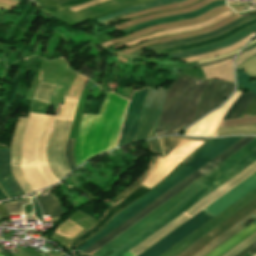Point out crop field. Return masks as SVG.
<instances>
[{"label":"crop field","instance_id":"crop-field-29","mask_svg":"<svg viewBox=\"0 0 256 256\" xmlns=\"http://www.w3.org/2000/svg\"><path fill=\"white\" fill-rule=\"evenodd\" d=\"M236 71H237L238 87L246 88L256 94V82L251 83L249 81L252 78V76L244 74L243 70L241 69L236 68Z\"/></svg>","mask_w":256,"mask_h":256},{"label":"crop field","instance_id":"crop-field-40","mask_svg":"<svg viewBox=\"0 0 256 256\" xmlns=\"http://www.w3.org/2000/svg\"><path fill=\"white\" fill-rule=\"evenodd\" d=\"M142 52L143 51H138V52H136L134 54H131V55H128L126 57H130V58L138 57V56H141Z\"/></svg>","mask_w":256,"mask_h":256},{"label":"crop field","instance_id":"crop-field-20","mask_svg":"<svg viewBox=\"0 0 256 256\" xmlns=\"http://www.w3.org/2000/svg\"><path fill=\"white\" fill-rule=\"evenodd\" d=\"M256 24V19H253L247 23H244L220 36L208 39L206 41L200 42V43H195V44H189V45H183V46H177V47H173V48H168V49H163L160 51H157L158 54L162 55V54H166V53H172V52H178V51H185V50H190L193 48H197V47H201V46H205V45H209V44H213V43H217V42H221L227 38H229L230 36L244 30L245 28L255 25Z\"/></svg>","mask_w":256,"mask_h":256},{"label":"crop field","instance_id":"crop-field-4","mask_svg":"<svg viewBox=\"0 0 256 256\" xmlns=\"http://www.w3.org/2000/svg\"><path fill=\"white\" fill-rule=\"evenodd\" d=\"M256 149V138L248 143L246 146L241 148L239 151L234 153L232 156L227 158L225 161L220 163L218 166L210 170L208 173L203 175L201 178L196 180L194 183L189 185L187 188L182 190L180 193L175 195L173 198L168 200L166 203L161 205L159 208L154 210L152 213L147 215L145 218L140 220L138 223L130 227L128 230L123 232L121 235L116 237L114 240L109 242L107 245L102 247L100 250H98L96 253H94L92 256H105V254L109 251L115 250L117 247L122 245L124 242L129 240L131 237L136 235L138 232L143 230L145 227L153 223L155 220L160 218L162 215L167 213L169 210L174 208L176 205L181 203L183 200L188 198L190 195L195 193L197 190L202 188L204 185L209 183L211 180L216 178L218 175L223 173L225 170L230 168L232 165L237 163L239 160L244 158L246 155L251 153L253 150Z\"/></svg>","mask_w":256,"mask_h":256},{"label":"crop field","instance_id":"crop-field-16","mask_svg":"<svg viewBox=\"0 0 256 256\" xmlns=\"http://www.w3.org/2000/svg\"><path fill=\"white\" fill-rule=\"evenodd\" d=\"M239 94L240 92L236 91V93L227 101L224 106L210 113L196 124L191 126L186 130L185 134L192 136H213L221 122L223 115L228 111Z\"/></svg>","mask_w":256,"mask_h":256},{"label":"crop field","instance_id":"crop-field-15","mask_svg":"<svg viewBox=\"0 0 256 256\" xmlns=\"http://www.w3.org/2000/svg\"><path fill=\"white\" fill-rule=\"evenodd\" d=\"M147 90L134 92L120 138L119 146L134 141ZM118 146V147H119Z\"/></svg>","mask_w":256,"mask_h":256},{"label":"crop field","instance_id":"crop-field-10","mask_svg":"<svg viewBox=\"0 0 256 256\" xmlns=\"http://www.w3.org/2000/svg\"><path fill=\"white\" fill-rule=\"evenodd\" d=\"M72 120L56 119L48 147V160L53 174L59 179L68 172L64 150Z\"/></svg>","mask_w":256,"mask_h":256},{"label":"crop field","instance_id":"crop-field-37","mask_svg":"<svg viewBox=\"0 0 256 256\" xmlns=\"http://www.w3.org/2000/svg\"><path fill=\"white\" fill-rule=\"evenodd\" d=\"M0 213L2 218H9V214L4 204L0 205Z\"/></svg>","mask_w":256,"mask_h":256},{"label":"crop field","instance_id":"crop-field-31","mask_svg":"<svg viewBox=\"0 0 256 256\" xmlns=\"http://www.w3.org/2000/svg\"><path fill=\"white\" fill-rule=\"evenodd\" d=\"M76 140L68 139L66 144L65 156L69 166V170L71 171L73 168L76 167L73 150Z\"/></svg>","mask_w":256,"mask_h":256},{"label":"crop field","instance_id":"crop-field-22","mask_svg":"<svg viewBox=\"0 0 256 256\" xmlns=\"http://www.w3.org/2000/svg\"><path fill=\"white\" fill-rule=\"evenodd\" d=\"M256 222V221H254ZM251 223L249 226L244 228L242 231H240L238 234H236L234 237L229 239L227 242L222 244L220 247L215 249L213 252L208 254L207 256H221L225 252H227L229 249L234 247L236 244L241 242L243 239L251 235L253 232L256 231V223Z\"/></svg>","mask_w":256,"mask_h":256},{"label":"crop field","instance_id":"crop-field-32","mask_svg":"<svg viewBox=\"0 0 256 256\" xmlns=\"http://www.w3.org/2000/svg\"><path fill=\"white\" fill-rule=\"evenodd\" d=\"M239 67L245 68L246 73L250 75H256V54L246 60L243 64H241Z\"/></svg>","mask_w":256,"mask_h":256},{"label":"crop field","instance_id":"crop-field-2","mask_svg":"<svg viewBox=\"0 0 256 256\" xmlns=\"http://www.w3.org/2000/svg\"><path fill=\"white\" fill-rule=\"evenodd\" d=\"M210 82L211 80L179 76L167 92L155 136L174 134L191 124L200 96Z\"/></svg>","mask_w":256,"mask_h":256},{"label":"crop field","instance_id":"crop-field-36","mask_svg":"<svg viewBox=\"0 0 256 256\" xmlns=\"http://www.w3.org/2000/svg\"><path fill=\"white\" fill-rule=\"evenodd\" d=\"M32 202H33V205H34V209H35V213H36V218H37L39 221L43 220V218H42V213H41V210H40V208H39L38 203L35 201L34 198H32Z\"/></svg>","mask_w":256,"mask_h":256},{"label":"crop field","instance_id":"crop-field-45","mask_svg":"<svg viewBox=\"0 0 256 256\" xmlns=\"http://www.w3.org/2000/svg\"><path fill=\"white\" fill-rule=\"evenodd\" d=\"M254 42H256V39H255V40H253V41H251V42L249 43V45H250V44H252V43H254ZM249 45H248V46H249Z\"/></svg>","mask_w":256,"mask_h":256},{"label":"crop field","instance_id":"crop-field-25","mask_svg":"<svg viewBox=\"0 0 256 256\" xmlns=\"http://www.w3.org/2000/svg\"><path fill=\"white\" fill-rule=\"evenodd\" d=\"M178 1H182V0H159V1H153V2H149V3H145V4H141V5H137V6H133V7H129L126 8L116 14L113 15H109L103 18H98L97 20H99L101 23L110 21L112 19H115L123 14L126 13H130V12H134V11H138V10H142V9H147V8H151V7H155V6H160V5H165V4H170V3H174V2H178Z\"/></svg>","mask_w":256,"mask_h":256},{"label":"crop field","instance_id":"crop-field-17","mask_svg":"<svg viewBox=\"0 0 256 256\" xmlns=\"http://www.w3.org/2000/svg\"><path fill=\"white\" fill-rule=\"evenodd\" d=\"M220 83V81L214 80L207 91L204 93L196 119L220 105L234 90L233 84L226 82H223V84L217 90L216 88L220 85ZM215 89L217 92L214 94L213 92ZM212 93L214 95L211 97Z\"/></svg>","mask_w":256,"mask_h":256},{"label":"crop field","instance_id":"crop-field-35","mask_svg":"<svg viewBox=\"0 0 256 256\" xmlns=\"http://www.w3.org/2000/svg\"><path fill=\"white\" fill-rule=\"evenodd\" d=\"M256 53V48L245 53V54H242L240 56L237 57L236 59V66L241 64L243 61H245L247 58H249L251 55L255 54Z\"/></svg>","mask_w":256,"mask_h":256},{"label":"crop field","instance_id":"crop-field-39","mask_svg":"<svg viewBox=\"0 0 256 256\" xmlns=\"http://www.w3.org/2000/svg\"><path fill=\"white\" fill-rule=\"evenodd\" d=\"M240 49L230 53V54H233V53H236L238 52ZM230 54H226V55H222V56H218V57H214V58H210V59H207V60H203V61H199L198 63H201V62H206V61H210V60H214V59H217V58H221V57H224V56H227V55H230Z\"/></svg>","mask_w":256,"mask_h":256},{"label":"crop field","instance_id":"crop-field-21","mask_svg":"<svg viewBox=\"0 0 256 256\" xmlns=\"http://www.w3.org/2000/svg\"><path fill=\"white\" fill-rule=\"evenodd\" d=\"M256 17V13L255 14H252V15H249V16H245V17H242L214 32H211V33H207V34H203L201 36H197V37H193V38H188V39H184V40H179V41H173V42H168V43H163V44H159V45H155V46H152V47H149L151 48L152 50L156 51V50H159V49H162V48H166V47H172V46H176V45H179V44H185V43H191V42H197V41H201V40H204V39H207V38H210V37H213V36H216V35H219L243 22H246V21H249L253 18Z\"/></svg>","mask_w":256,"mask_h":256},{"label":"crop field","instance_id":"crop-field-42","mask_svg":"<svg viewBox=\"0 0 256 256\" xmlns=\"http://www.w3.org/2000/svg\"><path fill=\"white\" fill-rule=\"evenodd\" d=\"M255 47H256V44H254V45H252V46H250V47L244 49V50L241 52V54L244 53V52H246V51H249V50H251V49H253V48H255Z\"/></svg>","mask_w":256,"mask_h":256},{"label":"crop field","instance_id":"crop-field-3","mask_svg":"<svg viewBox=\"0 0 256 256\" xmlns=\"http://www.w3.org/2000/svg\"><path fill=\"white\" fill-rule=\"evenodd\" d=\"M242 137H225L217 139H209L205 145L194 155V157L184 165L180 170L174 173L166 181L156 187L154 190L146 194L144 197L139 199L137 202L132 204L130 207L118 214L112 219L103 231L97 234L95 237L87 241L78 249L82 252L93 243L98 241L100 238L105 236L107 233L115 229L117 226L122 224L124 221L129 219L131 216L136 214L138 211L143 209L145 206L150 204L152 201L157 199L159 196L167 192L169 189L174 187L176 184L181 182L183 179L188 177L190 174L195 172L197 169L202 167L204 164L209 162L211 159L219 155L221 152L226 150L228 147L233 145L235 142L240 140Z\"/></svg>","mask_w":256,"mask_h":256},{"label":"crop field","instance_id":"crop-field-24","mask_svg":"<svg viewBox=\"0 0 256 256\" xmlns=\"http://www.w3.org/2000/svg\"><path fill=\"white\" fill-rule=\"evenodd\" d=\"M36 198L43 210L44 216L50 215V217L53 218L64 215L57 199L53 197L51 194Z\"/></svg>","mask_w":256,"mask_h":256},{"label":"crop field","instance_id":"crop-field-44","mask_svg":"<svg viewBox=\"0 0 256 256\" xmlns=\"http://www.w3.org/2000/svg\"><path fill=\"white\" fill-rule=\"evenodd\" d=\"M255 251H256V247L253 248L252 250H250L249 252L252 254V253H254Z\"/></svg>","mask_w":256,"mask_h":256},{"label":"crop field","instance_id":"crop-field-7","mask_svg":"<svg viewBox=\"0 0 256 256\" xmlns=\"http://www.w3.org/2000/svg\"><path fill=\"white\" fill-rule=\"evenodd\" d=\"M254 161H256V150L249 154L247 157L242 159L240 162L235 164L233 167L228 169L226 172L221 174L219 177L214 179L212 182L207 184L205 187L200 189L198 192L193 194L191 197L186 199L184 202L179 204L177 207L172 209L170 212L165 214L163 217L158 219L156 222L148 226L146 229L141 231L139 234L134 236L132 239L124 243L122 246L117 248L112 254L109 256H122L124 253H126L128 250L133 248L135 245L140 243L142 240L147 238L149 235L154 233L156 230H158L160 227L165 225L167 222L172 220L174 217L182 213L184 210L192 206L194 203L202 199L204 196L212 192L214 189L222 185L224 182L232 178L234 175L242 171L244 168L252 164Z\"/></svg>","mask_w":256,"mask_h":256},{"label":"crop field","instance_id":"crop-field-27","mask_svg":"<svg viewBox=\"0 0 256 256\" xmlns=\"http://www.w3.org/2000/svg\"><path fill=\"white\" fill-rule=\"evenodd\" d=\"M52 1L62 3V2L69 1V0H52ZM88 1H91V0H73V1L66 2V3L54 5L52 7L47 8V9L41 10L40 12L42 14L48 16L49 14H51L55 11L63 10V9H66V8H69V7L78 5V4L88 2Z\"/></svg>","mask_w":256,"mask_h":256},{"label":"crop field","instance_id":"crop-field-6","mask_svg":"<svg viewBox=\"0 0 256 256\" xmlns=\"http://www.w3.org/2000/svg\"><path fill=\"white\" fill-rule=\"evenodd\" d=\"M255 187H256V173L251 177H249L244 182H242L241 184H239L237 187L232 189L230 192L222 196L220 199L215 201L213 204L205 208L202 212L213 217L216 214H218L220 211H222L223 209L231 205L233 202H235L236 200L244 196L246 193L254 189ZM210 218L211 217L201 212L198 213L196 216H194L189 221L181 225L179 228L174 230L172 233L167 235L165 238L160 240L158 243L153 245L151 248H149L139 256H158L159 254L167 250L169 247L174 245L176 242L181 240L183 237H185L186 235L191 233L193 230L198 228L200 225L208 221Z\"/></svg>","mask_w":256,"mask_h":256},{"label":"crop field","instance_id":"crop-field-14","mask_svg":"<svg viewBox=\"0 0 256 256\" xmlns=\"http://www.w3.org/2000/svg\"><path fill=\"white\" fill-rule=\"evenodd\" d=\"M254 198H256V189L254 191H252L251 193H249L247 196H245L244 198H242L240 201H238L237 203H235L234 205H232L230 208H228L227 210H225L223 213H221L220 215H218L216 218H214L213 220H211L209 223H207L206 225H204L202 228H200L199 230H197L195 233H193L192 235H190L189 237H187L185 240H183L182 242H180L178 245H176L175 247H173L171 250H169L168 252H166L164 255L162 256H174L175 254H177L179 251H181L182 249H184L186 246H188L189 244H191L193 241H195L196 239H198L199 237H201L203 234H205L206 232H208L210 229H212L213 227H215L217 224H219L220 222H222L223 220H225L227 217H229L230 215H232L234 212H236L237 210H239L241 207H243L244 205H246L247 203H249L251 200H253Z\"/></svg>","mask_w":256,"mask_h":256},{"label":"crop field","instance_id":"crop-field-1","mask_svg":"<svg viewBox=\"0 0 256 256\" xmlns=\"http://www.w3.org/2000/svg\"><path fill=\"white\" fill-rule=\"evenodd\" d=\"M126 103L116 95L107 94L99 115H83L74 150L77 166L115 147Z\"/></svg>","mask_w":256,"mask_h":256},{"label":"crop field","instance_id":"crop-field-26","mask_svg":"<svg viewBox=\"0 0 256 256\" xmlns=\"http://www.w3.org/2000/svg\"><path fill=\"white\" fill-rule=\"evenodd\" d=\"M249 92L247 94H244V93L241 94V96L237 99V101L233 104V106L227 112L224 119L239 117V115L242 113L245 107L255 97V95L251 94L252 92L251 93Z\"/></svg>","mask_w":256,"mask_h":256},{"label":"crop field","instance_id":"crop-field-34","mask_svg":"<svg viewBox=\"0 0 256 256\" xmlns=\"http://www.w3.org/2000/svg\"><path fill=\"white\" fill-rule=\"evenodd\" d=\"M147 143H148V147H149L150 152L162 154L161 147H160L158 139L148 141Z\"/></svg>","mask_w":256,"mask_h":256},{"label":"crop field","instance_id":"crop-field-23","mask_svg":"<svg viewBox=\"0 0 256 256\" xmlns=\"http://www.w3.org/2000/svg\"><path fill=\"white\" fill-rule=\"evenodd\" d=\"M249 219H256V212H254L253 214H251L249 217H247L246 219H244L242 222H240L239 224H237L235 227H233L232 229H230L228 232H226L225 234H223L221 237H219L218 239H216L214 242H212L211 244H209L207 247H205L204 249H202L200 252H198L197 254H195L194 256H205L208 253H210L212 250H214L215 248H217L219 245H221L222 243H224L226 240H228L229 238H231L233 235H235L237 232H239L240 230H242L245 226L244 224L249 220Z\"/></svg>","mask_w":256,"mask_h":256},{"label":"crop field","instance_id":"crop-field-46","mask_svg":"<svg viewBox=\"0 0 256 256\" xmlns=\"http://www.w3.org/2000/svg\"><path fill=\"white\" fill-rule=\"evenodd\" d=\"M253 256H256V254H255V255H253Z\"/></svg>","mask_w":256,"mask_h":256},{"label":"crop field","instance_id":"crop-field-19","mask_svg":"<svg viewBox=\"0 0 256 256\" xmlns=\"http://www.w3.org/2000/svg\"><path fill=\"white\" fill-rule=\"evenodd\" d=\"M223 4H225V1H222V0L214 1V2H211L210 4H208L207 6H205L203 8H200L198 10H195L193 12L174 15V16H170V17H166V18H162V19H157V20H152V21H149V22H146V23H143V24L131 26L128 29L123 30L121 32H123L124 34L127 35V34L133 32L135 30H138V29H141V28H144V27H148V26H152V25H156V24H160V23L179 21V20H183V19L191 18V17H196V16H199V15L205 13L206 11H208V10L214 8V7H217V6H220V5H223Z\"/></svg>","mask_w":256,"mask_h":256},{"label":"crop field","instance_id":"crop-field-41","mask_svg":"<svg viewBox=\"0 0 256 256\" xmlns=\"http://www.w3.org/2000/svg\"><path fill=\"white\" fill-rule=\"evenodd\" d=\"M256 245V242L254 244H252L250 247H248L247 249H245L243 252H241L240 254H238L237 256H242L243 254H245L248 250H250L251 248H253Z\"/></svg>","mask_w":256,"mask_h":256},{"label":"crop field","instance_id":"crop-field-8","mask_svg":"<svg viewBox=\"0 0 256 256\" xmlns=\"http://www.w3.org/2000/svg\"><path fill=\"white\" fill-rule=\"evenodd\" d=\"M255 137H244L242 138L240 141H238L237 143H235L233 146H231L230 148H228L226 151H224L223 153H221L219 156H217L216 158H214L213 160H211L209 163H207L206 165H204L202 168H200L199 170H197L195 173H193L192 175H190L188 178H186L185 180H183L181 183H179L178 185H176L174 188H172L171 190H169L167 193H165L164 195H162L161 197H159L157 200H155L154 202H152L150 205H148L147 207H145L143 210H141L140 212H138L136 215H134L133 217H131L129 220H127L126 222H124L122 225H120L119 227H117L115 230H113L112 232H110L109 234H107L105 237H103L102 239H100L98 242H96L95 244H93L91 247H89L88 249H86L84 252L85 253H92L93 251H97L98 249H100L102 246H104L105 244H107L109 241H111L112 239H114L116 236H118L119 234H121L123 231H125L126 229H128L130 226H132L133 224H135L136 222H138L140 219H142L143 217H145L147 214H149L150 212H152L154 209H156L157 207H159L161 204H163L164 202H166L168 199H170L171 197H173L175 194H177L178 192H180L182 189H184L185 187H187L189 184H191L192 182H194L196 179H198L199 177H201L203 174H205L206 172H208L210 169H212L213 167H215L216 165H218L220 162H222L223 160H225L227 157H229L230 155H232L234 152H236L237 150H239L241 147H243L244 145H246L248 142H250L251 140H253Z\"/></svg>","mask_w":256,"mask_h":256},{"label":"crop field","instance_id":"crop-field-30","mask_svg":"<svg viewBox=\"0 0 256 256\" xmlns=\"http://www.w3.org/2000/svg\"><path fill=\"white\" fill-rule=\"evenodd\" d=\"M256 241V232L223 256H235Z\"/></svg>","mask_w":256,"mask_h":256},{"label":"crop field","instance_id":"crop-field-12","mask_svg":"<svg viewBox=\"0 0 256 256\" xmlns=\"http://www.w3.org/2000/svg\"><path fill=\"white\" fill-rule=\"evenodd\" d=\"M256 211V199L252 201L250 204L242 208L240 211L235 213L233 216L228 218L226 221L218 225L216 228L211 230L209 233L204 235L202 238L194 242L192 245L187 247L185 250L180 252L176 256H192L197 253L199 250L204 248L210 242L215 240L217 237L222 235L224 232L229 230L231 227L239 223L241 220L249 216L251 213Z\"/></svg>","mask_w":256,"mask_h":256},{"label":"crop field","instance_id":"crop-field-28","mask_svg":"<svg viewBox=\"0 0 256 256\" xmlns=\"http://www.w3.org/2000/svg\"><path fill=\"white\" fill-rule=\"evenodd\" d=\"M54 86L55 85H53V84L41 82L37 89L34 99L49 103L51 96H52Z\"/></svg>","mask_w":256,"mask_h":256},{"label":"crop field","instance_id":"crop-field-33","mask_svg":"<svg viewBox=\"0 0 256 256\" xmlns=\"http://www.w3.org/2000/svg\"><path fill=\"white\" fill-rule=\"evenodd\" d=\"M30 199L5 204L9 213H23L22 205L29 203Z\"/></svg>","mask_w":256,"mask_h":256},{"label":"crop field","instance_id":"crop-field-9","mask_svg":"<svg viewBox=\"0 0 256 256\" xmlns=\"http://www.w3.org/2000/svg\"><path fill=\"white\" fill-rule=\"evenodd\" d=\"M254 172H256V162H254L252 165H250L249 167H247L246 169H244L242 172H240L239 174H237L235 177H233L232 179H230L228 182H226L225 184H223L222 186H220L218 189H216L215 191H213L211 194H209L208 196H206L204 199H202L201 201H199L198 203H196L194 206H192L191 208H189L187 211H185L184 213H182L180 216H178L177 218H175L173 221H171L170 223H168L167 225H165L163 228H161L160 230H158L156 233H154L153 235H151L149 238H147L146 240H144L143 242H141L139 245H137L136 247H134L132 250V252H134L135 254H140L142 251H144L145 249H147L148 247H150L152 244H154L155 242H157L159 239H161L162 237H164L165 235H167L169 232H171L172 230H174L176 227H178L179 225H181L183 222H185L186 220H188L189 218H191L193 215H195L196 213H198L200 210H202L203 208H205L206 206H208L210 203H212L213 201H215L217 198H219L220 196H222L223 194H225L227 191H229L230 189H232L234 186H236L237 184H239L241 181H243L244 179H246L247 177H249L251 174H253Z\"/></svg>","mask_w":256,"mask_h":256},{"label":"crop field","instance_id":"crop-field-38","mask_svg":"<svg viewBox=\"0 0 256 256\" xmlns=\"http://www.w3.org/2000/svg\"><path fill=\"white\" fill-rule=\"evenodd\" d=\"M234 56H235V54H234V55H231V56H227V57L221 58V59H217V60H214V61H211V62H207V63H204V64L195 65L194 67L217 63V62H219V61H222V60L228 59V58H230V57H234Z\"/></svg>","mask_w":256,"mask_h":256},{"label":"crop field","instance_id":"crop-field-5","mask_svg":"<svg viewBox=\"0 0 256 256\" xmlns=\"http://www.w3.org/2000/svg\"><path fill=\"white\" fill-rule=\"evenodd\" d=\"M184 139H191V138H180V137L160 138L165 157L152 158L144 175L131 187H129L127 190H125L123 193H121L119 196H117L115 199L109 202V204L113 205L115 202L120 200L126 194L128 193L129 194L125 196L123 199H121L118 203L108 208L105 214L99 220V222L97 221L98 223L96 225H94L91 229L81 233L79 236L73 239L68 244L66 249L71 251L75 246L79 245L81 242H83L85 239H87L94 233L98 232L116 214L121 212L123 209L131 205L133 202H135L144 194H146L155 186H157L172 171H174L180 164H182L190 155L184 161H182L177 167H175L170 173H168L164 178H162L157 184H155L153 187L142 182ZM196 140H199V139H196Z\"/></svg>","mask_w":256,"mask_h":256},{"label":"crop field","instance_id":"crop-field-11","mask_svg":"<svg viewBox=\"0 0 256 256\" xmlns=\"http://www.w3.org/2000/svg\"><path fill=\"white\" fill-rule=\"evenodd\" d=\"M166 92L165 90H148L135 141L154 135Z\"/></svg>","mask_w":256,"mask_h":256},{"label":"crop field","instance_id":"crop-field-43","mask_svg":"<svg viewBox=\"0 0 256 256\" xmlns=\"http://www.w3.org/2000/svg\"><path fill=\"white\" fill-rule=\"evenodd\" d=\"M0 113H1V111H0ZM7 197H6V195L3 193V191L0 189V200L1 199H6Z\"/></svg>","mask_w":256,"mask_h":256},{"label":"crop field","instance_id":"crop-field-13","mask_svg":"<svg viewBox=\"0 0 256 256\" xmlns=\"http://www.w3.org/2000/svg\"><path fill=\"white\" fill-rule=\"evenodd\" d=\"M30 115H31V113H29L28 118H23V117L18 118L15 130L13 133L11 146H10L12 172H13L17 182L19 183V185L25 192V194H27L31 191H34V188L28 182V180L23 172V160H22V147H23ZM18 146L20 148V152H19L20 168H21V173L24 176V180H23V178L20 174L19 168H18Z\"/></svg>","mask_w":256,"mask_h":256},{"label":"crop field","instance_id":"crop-field-18","mask_svg":"<svg viewBox=\"0 0 256 256\" xmlns=\"http://www.w3.org/2000/svg\"><path fill=\"white\" fill-rule=\"evenodd\" d=\"M0 183L10 198L24 194L11 173L9 149H0Z\"/></svg>","mask_w":256,"mask_h":256}]
</instances>
